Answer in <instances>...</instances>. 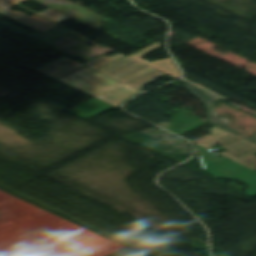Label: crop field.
Segmentation results:
<instances>
[{"label": "crop field", "instance_id": "1", "mask_svg": "<svg viewBox=\"0 0 256 256\" xmlns=\"http://www.w3.org/2000/svg\"><path fill=\"white\" fill-rule=\"evenodd\" d=\"M70 61H72L73 63L67 65V63ZM82 66L84 65L67 57H64L35 70L46 74L54 79H57ZM59 81L71 87H74L88 95L94 97L101 96L103 97L101 98L102 100L116 107L120 106L128 97L140 92V90L132 88L117 80H114L88 66L60 79ZM119 85L122 86L103 95L100 94Z\"/></svg>", "mask_w": 256, "mask_h": 256}, {"label": "crop field", "instance_id": "2", "mask_svg": "<svg viewBox=\"0 0 256 256\" xmlns=\"http://www.w3.org/2000/svg\"><path fill=\"white\" fill-rule=\"evenodd\" d=\"M205 171L215 178L239 179L251 188L246 193L256 196V171L226 157H217L204 147L195 145Z\"/></svg>", "mask_w": 256, "mask_h": 256}, {"label": "crop field", "instance_id": "3", "mask_svg": "<svg viewBox=\"0 0 256 256\" xmlns=\"http://www.w3.org/2000/svg\"><path fill=\"white\" fill-rule=\"evenodd\" d=\"M211 134L196 140L201 145L210 146L220 144L228 150L221 153L247 167L256 170V156L252 155L256 152V145L244 140L234 134H231L217 126L210 129Z\"/></svg>", "mask_w": 256, "mask_h": 256}, {"label": "crop field", "instance_id": "4", "mask_svg": "<svg viewBox=\"0 0 256 256\" xmlns=\"http://www.w3.org/2000/svg\"><path fill=\"white\" fill-rule=\"evenodd\" d=\"M84 65H88L114 79H118L126 74L146 66L121 53L111 58L101 56Z\"/></svg>", "mask_w": 256, "mask_h": 256}, {"label": "crop field", "instance_id": "5", "mask_svg": "<svg viewBox=\"0 0 256 256\" xmlns=\"http://www.w3.org/2000/svg\"><path fill=\"white\" fill-rule=\"evenodd\" d=\"M15 6L14 4L7 2L5 0H0V14L4 15L22 25L33 27L37 31L42 32L49 30L55 27L57 24H54L48 20H45L39 16L33 15L28 17L20 12H15L9 8Z\"/></svg>", "mask_w": 256, "mask_h": 256}, {"label": "crop field", "instance_id": "6", "mask_svg": "<svg viewBox=\"0 0 256 256\" xmlns=\"http://www.w3.org/2000/svg\"><path fill=\"white\" fill-rule=\"evenodd\" d=\"M194 95H196L198 98L202 99L205 103L206 109H207V113H208V119L210 122H212L213 124L227 130L230 131L232 133L238 134L244 138H247L253 142H256V136L253 137H246L240 133H238L237 131L233 130L232 128L226 126L225 124H229L231 123V119L229 118H218V115L216 113V111L212 108V104L211 102L213 101H217V100H221L222 98L213 95L211 93H208L200 88H196V87H192L191 85L187 84L185 85Z\"/></svg>", "mask_w": 256, "mask_h": 256}, {"label": "crop field", "instance_id": "7", "mask_svg": "<svg viewBox=\"0 0 256 256\" xmlns=\"http://www.w3.org/2000/svg\"><path fill=\"white\" fill-rule=\"evenodd\" d=\"M163 76L165 75L146 66L118 80L139 89Z\"/></svg>", "mask_w": 256, "mask_h": 256}, {"label": "crop field", "instance_id": "8", "mask_svg": "<svg viewBox=\"0 0 256 256\" xmlns=\"http://www.w3.org/2000/svg\"><path fill=\"white\" fill-rule=\"evenodd\" d=\"M115 108L116 107L95 98L67 112L81 119L87 120Z\"/></svg>", "mask_w": 256, "mask_h": 256}, {"label": "crop field", "instance_id": "9", "mask_svg": "<svg viewBox=\"0 0 256 256\" xmlns=\"http://www.w3.org/2000/svg\"><path fill=\"white\" fill-rule=\"evenodd\" d=\"M161 46H162L161 44L156 43V44H154V45H152V46H150V47H148V48H146V49H144V50H142V51H140V52H138L134 55H131L129 57H131L135 60H138V61H140V62H142L146 65H149V66H151V67H153V68H155L159 71H162V72H164V73H166L170 76H173L175 78H180V73L177 70V68L174 66V64L172 63L170 58L162 59L160 61H155L153 63H149L145 60L140 59L141 56H143V55H145V54H147V53H149V52H151V51H153V50H155V49H157Z\"/></svg>", "mask_w": 256, "mask_h": 256}, {"label": "crop field", "instance_id": "10", "mask_svg": "<svg viewBox=\"0 0 256 256\" xmlns=\"http://www.w3.org/2000/svg\"><path fill=\"white\" fill-rule=\"evenodd\" d=\"M63 8L61 7H54L50 10H47L45 12L36 14L39 15L45 19H48L54 23L62 22L65 20H68L69 17L63 12Z\"/></svg>", "mask_w": 256, "mask_h": 256}, {"label": "crop field", "instance_id": "11", "mask_svg": "<svg viewBox=\"0 0 256 256\" xmlns=\"http://www.w3.org/2000/svg\"><path fill=\"white\" fill-rule=\"evenodd\" d=\"M8 1L13 2V3L18 5V4H20L22 2H25V1H28V0H8Z\"/></svg>", "mask_w": 256, "mask_h": 256}]
</instances>
